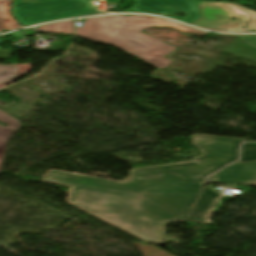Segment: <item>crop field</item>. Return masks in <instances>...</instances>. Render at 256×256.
Listing matches in <instances>:
<instances>
[{"instance_id": "11", "label": "crop field", "mask_w": 256, "mask_h": 256, "mask_svg": "<svg viewBox=\"0 0 256 256\" xmlns=\"http://www.w3.org/2000/svg\"><path fill=\"white\" fill-rule=\"evenodd\" d=\"M41 32L74 34V21H65L38 28Z\"/></svg>"}, {"instance_id": "9", "label": "crop field", "mask_w": 256, "mask_h": 256, "mask_svg": "<svg viewBox=\"0 0 256 256\" xmlns=\"http://www.w3.org/2000/svg\"><path fill=\"white\" fill-rule=\"evenodd\" d=\"M221 196L218 192L204 186L201 194L196 200L192 211L186 220L204 223L215 200Z\"/></svg>"}, {"instance_id": "14", "label": "crop field", "mask_w": 256, "mask_h": 256, "mask_svg": "<svg viewBox=\"0 0 256 256\" xmlns=\"http://www.w3.org/2000/svg\"><path fill=\"white\" fill-rule=\"evenodd\" d=\"M11 80H12V78L9 79V80H7V81H5V82L0 83V87L4 86L6 83L10 82ZM4 87H5V86H4Z\"/></svg>"}, {"instance_id": "6", "label": "crop field", "mask_w": 256, "mask_h": 256, "mask_svg": "<svg viewBox=\"0 0 256 256\" xmlns=\"http://www.w3.org/2000/svg\"><path fill=\"white\" fill-rule=\"evenodd\" d=\"M135 5L131 11L145 12L169 16L179 21L191 24L199 17L198 2L196 0H134ZM172 13H185L181 18Z\"/></svg>"}, {"instance_id": "1", "label": "crop field", "mask_w": 256, "mask_h": 256, "mask_svg": "<svg viewBox=\"0 0 256 256\" xmlns=\"http://www.w3.org/2000/svg\"><path fill=\"white\" fill-rule=\"evenodd\" d=\"M208 174L197 162L133 170L114 182L51 171L43 181L74 187L69 202L144 239L163 240L157 225L185 220Z\"/></svg>"}, {"instance_id": "10", "label": "crop field", "mask_w": 256, "mask_h": 256, "mask_svg": "<svg viewBox=\"0 0 256 256\" xmlns=\"http://www.w3.org/2000/svg\"><path fill=\"white\" fill-rule=\"evenodd\" d=\"M11 0H0V31L2 29H17L20 26L16 21L9 15Z\"/></svg>"}, {"instance_id": "12", "label": "crop field", "mask_w": 256, "mask_h": 256, "mask_svg": "<svg viewBox=\"0 0 256 256\" xmlns=\"http://www.w3.org/2000/svg\"><path fill=\"white\" fill-rule=\"evenodd\" d=\"M256 160V143L242 145L240 162Z\"/></svg>"}, {"instance_id": "4", "label": "crop field", "mask_w": 256, "mask_h": 256, "mask_svg": "<svg viewBox=\"0 0 256 256\" xmlns=\"http://www.w3.org/2000/svg\"><path fill=\"white\" fill-rule=\"evenodd\" d=\"M199 10L200 18L194 26L228 32L256 31V11L235 3L200 2Z\"/></svg>"}, {"instance_id": "5", "label": "crop field", "mask_w": 256, "mask_h": 256, "mask_svg": "<svg viewBox=\"0 0 256 256\" xmlns=\"http://www.w3.org/2000/svg\"><path fill=\"white\" fill-rule=\"evenodd\" d=\"M240 141L244 140L209 135H194L193 144L203 151V155L195 159L210 175L225 164L236 161Z\"/></svg>"}, {"instance_id": "8", "label": "crop field", "mask_w": 256, "mask_h": 256, "mask_svg": "<svg viewBox=\"0 0 256 256\" xmlns=\"http://www.w3.org/2000/svg\"><path fill=\"white\" fill-rule=\"evenodd\" d=\"M15 67L0 66V82L16 75ZM0 121L9 124V127L0 126V166H2L6 146L10 137L20 128L19 120L0 110Z\"/></svg>"}, {"instance_id": "15", "label": "crop field", "mask_w": 256, "mask_h": 256, "mask_svg": "<svg viewBox=\"0 0 256 256\" xmlns=\"http://www.w3.org/2000/svg\"><path fill=\"white\" fill-rule=\"evenodd\" d=\"M0 170H1V167H0Z\"/></svg>"}, {"instance_id": "2", "label": "crop field", "mask_w": 256, "mask_h": 256, "mask_svg": "<svg viewBox=\"0 0 256 256\" xmlns=\"http://www.w3.org/2000/svg\"><path fill=\"white\" fill-rule=\"evenodd\" d=\"M149 26H171L180 31L203 33L170 20L151 16L112 15L86 19L83 26L77 28V35L113 45L159 69H165L173 61L164 56L177 48L140 32Z\"/></svg>"}, {"instance_id": "7", "label": "crop field", "mask_w": 256, "mask_h": 256, "mask_svg": "<svg viewBox=\"0 0 256 256\" xmlns=\"http://www.w3.org/2000/svg\"><path fill=\"white\" fill-rule=\"evenodd\" d=\"M210 182L224 185H256V162L232 164L211 177Z\"/></svg>"}, {"instance_id": "3", "label": "crop field", "mask_w": 256, "mask_h": 256, "mask_svg": "<svg viewBox=\"0 0 256 256\" xmlns=\"http://www.w3.org/2000/svg\"><path fill=\"white\" fill-rule=\"evenodd\" d=\"M96 0H15L12 14L23 26L93 14ZM116 3L119 0H106Z\"/></svg>"}, {"instance_id": "13", "label": "crop field", "mask_w": 256, "mask_h": 256, "mask_svg": "<svg viewBox=\"0 0 256 256\" xmlns=\"http://www.w3.org/2000/svg\"><path fill=\"white\" fill-rule=\"evenodd\" d=\"M240 39L256 47V36H239Z\"/></svg>"}]
</instances>
